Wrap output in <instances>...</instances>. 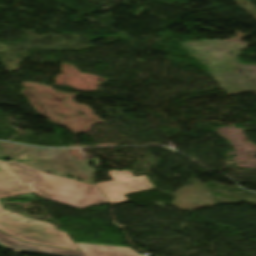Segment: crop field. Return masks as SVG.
I'll list each match as a JSON object with an SVG mask.
<instances>
[{
	"label": "crop field",
	"mask_w": 256,
	"mask_h": 256,
	"mask_svg": "<svg viewBox=\"0 0 256 256\" xmlns=\"http://www.w3.org/2000/svg\"><path fill=\"white\" fill-rule=\"evenodd\" d=\"M31 193L19 178L0 159V199L12 195ZM0 230L23 241L79 250L64 231L49 222L33 219L3 209L0 203Z\"/></svg>",
	"instance_id": "obj_1"
},
{
	"label": "crop field",
	"mask_w": 256,
	"mask_h": 256,
	"mask_svg": "<svg viewBox=\"0 0 256 256\" xmlns=\"http://www.w3.org/2000/svg\"><path fill=\"white\" fill-rule=\"evenodd\" d=\"M7 163L24 184L39 197L73 205L81 209L107 202L92 184L46 175L15 161Z\"/></svg>",
	"instance_id": "obj_2"
},
{
	"label": "crop field",
	"mask_w": 256,
	"mask_h": 256,
	"mask_svg": "<svg viewBox=\"0 0 256 256\" xmlns=\"http://www.w3.org/2000/svg\"><path fill=\"white\" fill-rule=\"evenodd\" d=\"M108 173L114 181L96 185L111 204L128 201L124 195L154 188L146 176L134 177L128 170L120 172L112 170Z\"/></svg>",
	"instance_id": "obj_3"
},
{
	"label": "crop field",
	"mask_w": 256,
	"mask_h": 256,
	"mask_svg": "<svg viewBox=\"0 0 256 256\" xmlns=\"http://www.w3.org/2000/svg\"><path fill=\"white\" fill-rule=\"evenodd\" d=\"M0 244L8 247L13 251H29L53 256H84L82 252H72L51 248L39 247L27 243L20 242L2 232H0Z\"/></svg>",
	"instance_id": "obj_4"
},
{
	"label": "crop field",
	"mask_w": 256,
	"mask_h": 256,
	"mask_svg": "<svg viewBox=\"0 0 256 256\" xmlns=\"http://www.w3.org/2000/svg\"><path fill=\"white\" fill-rule=\"evenodd\" d=\"M86 256H141L130 248L76 243Z\"/></svg>",
	"instance_id": "obj_5"
}]
</instances>
